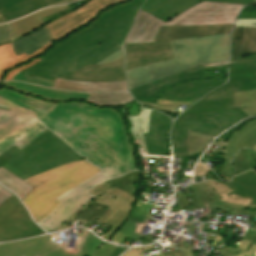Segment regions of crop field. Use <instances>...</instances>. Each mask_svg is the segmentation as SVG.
Listing matches in <instances>:
<instances>
[{
  "label": "crop field",
  "instance_id": "8a807250",
  "mask_svg": "<svg viewBox=\"0 0 256 256\" xmlns=\"http://www.w3.org/2000/svg\"><path fill=\"white\" fill-rule=\"evenodd\" d=\"M0 96L30 110L79 154L103 169L108 179L135 170L125 120L115 109L79 102L50 103L0 88Z\"/></svg>",
  "mask_w": 256,
  "mask_h": 256
},
{
  "label": "crop field",
  "instance_id": "ac0d7876",
  "mask_svg": "<svg viewBox=\"0 0 256 256\" xmlns=\"http://www.w3.org/2000/svg\"><path fill=\"white\" fill-rule=\"evenodd\" d=\"M145 0L131 2L104 12L99 19L42 57L44 61L21 72L53 80L70 78L84 66L94 65L122 48L135 14Z\"/></svg>",
  "mask_w": 256,
  "mask_h": 256
},
{
  "label": "crop field",
  "instance_id": "34b2d1b8",
  "mask_svg": "<svg viewBox=\"0 0 256 256\" xmlns=\"http://www.w3.org/2000/svg\"><path fill=\"white\" fill-rule=\"evenodd\" d=\"M174 59L127 70L129 89L164 78L182 70L203 65L224 66L229 61L230 33L196 39L171 41Z\"/></svg>",
  "mask_w": 256,
  "mask_h": 256
},
{
  "label": "crop field",
  "instance_id": "412701ff",
  "mask_svg": "<svg viewBox=\"0 0 256 256\" xmlns=\"http://www.w3.org/2000/svg\"><path fill=\"white\" fill-rule=\"evenodd\" d=\"M78 160L83 158L48 129L22 150L13 146L0 155V167L24 180Z\"/></svg>",
  "mask_w": 256,
  "mask_h": 256
},
{
  "label": "crop field",
  "instance_id": "f4fd0767",
  "mask_svg": "<svg viewBox=\"0 0 256 256\" xmlns=\"http://www.w3.org/2000/svg\"><path fill=\"white\" fill-rule=\"evenodd\" d=\"M99 171V168L83 160L32 176L24 181L35 188L23 201L37 223L49 215L59 204L54 200L55 198Z\"/></svg>",
  "mask_w": 256,
  "mask_h": 256
},
{
  "label": "crop field",
  "instance_id": "dd49c442",
  "mask_svg": "<svg viewBox=\"0 0 256 256\" xmlns=\"http://www.w3.org/2000/svg\"><path fill=\"white\" fill-rule=\"evenodd\" d=\"M243 7L244 5L203 1L184 11L167 23L142 10H139V13L125 42H152L154 41L156 32L161 26L233 23L238 11H240Z\"/></svg>",
  "mask_w": 256,
  "mask_h": 256
},
{
  "label": "crop field",
  "instance_id": "e52e79f7",
  "mask_svg": "<svg viewBox=\"0 0 256 256\" xmlns=\"http://www.w3.org/2000/svg\"><path fill=\"white\" fill-rule=\"evenodd\" d=\"M51 235L0 245V256H110L116 247L83 230L75 251H65L66 245L50 243Z\"/></svg>",
  "mask_w": 256,
  "mask_h": 256
},
{
  "label": "crop field",
  "instance_id": "d8731c3e",
  "mask_svg": "<svg viewBox=\"0 0 256 256\" xmlns=\"http://www.w3.org/2000/svg\"><path fill=\"white\" fill-rule=\"evenodd\" d=\"M246 117L230 110H187L175 121L172 129L174 157H187L188 129L216 136Z\"/></svg>",
  "mask_w": 256,
  "mask_h": 256
},
{
  "label": "crop field",
  "instance_id": "5a996713",
  "mask_svg": "<svg viewBox=\"0 0 256 256\" xmlns=\"http://www.w3.org/2000/svg\"><path fill=\"white\" fill-rule=\"evenodd\" d=\"M0 154L15 145L25 147L48 128L28 111L0 97Z\"/></svg>",
  "mask_w": 256,
  "mask_h": 256
},
{
  "label": "crop field",
  "instance_id": "3316defc",
  "mask_svg": "<svg viewBox=\"0 0 256 256\" xmlns=\"http://www.w3.org/2000/svg\"><path fill=\"white\" fill-rule=\"evenodd\" d=\"M256 60L230 64V80L189 109H234L233 92L256 88Z\"/></svg>",
  "mask_w": 256,
  "mask_h": 256
},
{
  "label": "crop field",
  "instance_id": "28ad6ade",
  "mask_svg": "<svg viewBox=\"0 0 256 256\" xmlns=\"http://www.w3.org/2000/svg\"><path fill=\"white\" fill-rule=\"evenodd\" d=\"M107 181L101 172L84 181L72 190L63 194L56 200L61 203L44 220L37 223L48 232L53 231L63 225L77 210L95 198L89 191ZM44 229V230H45Z\"/></svg>",
  "mask_w": 256,
  "mask_h": 256
},
{
  "label": "crop field",
  "instance_id": "d1516ede",
  "mask_svg": "<svg viewBox=\"0 0 256 256\" xmlns=\"http://www.w3.org/2000/svg\"><path fill=\"white\" fill-rule=\"evenodd\" d=\"M122 1L125 0H91L89 3L46 24V26L53 40H56L73 29L88 23L102 9Z\"/></svg>",
  "mask_w": 256,
  "mask_h": 256
},
{
  "label": "crop field",
  "instance_id": "22f410ed",
  "mask_svg": "<svg viewBox=\"0 0 256 256\" xmlns=\"http://www.w3.org/2000/svg\"><path fill=\"white\" fill-rule=\"evenodd\" d=\"M126 51V70L173 58L170 41L123 44Z\"/></svg>",
  "mask_w": 256,
  "mask_h": 256
},
{
  "label": "crop field",
  "instance_id": "cbeb9de0",
  "mask_svg": "<svg viewBox=\"0 0 256 256\" xmlns=\"http://www.w3.org/2000/svg\"><path fill=\"white\" fill-rule=\"evenodd\" d=\"M226 79L195 80L181 83L162 94L155 103L165 104H190L201 98L208 91L224 84Z\"/></svg>",
  "mask_w": 256,
  "mask_h": 256
},
{
  "label": "crop field",
  "instance_id": "5142ce71",
  "mask_svg": "<svg viewBox=\"0 0 256 256\" xmlns=\"http://www.w3.org/2000/svg\"><path fill=\"white\" fill-rule=\"evenodd\" d=\"M206 79L203 66H198L194 69L179 72L164 79L150 83L148 85L132 89L130 92L136 99L155 102V100L167 89L181 82Z\"/></svg>",
  "mask_w": 256,
  "mask_h": 256
},
{
  "label": "crop field",
  "instance_id": "d9b57169",
  "mask_svg": "<svg viewBox=\"0 0 256 256\" xmlns=\"http://www.w3.org/2000/svg\"><path fill=\"white\" fill-rule=\"evenodd\" d=\"M94 202L108 205L115 209L127 212V214L130 216L128 217L126 222L120 227L119 231L131 236L130 238L132 239L142 240V245L150 244L153 238V237H150L151 235L150 233L148 234V236H146V235L136 234L134 233V231L137 226L144 227L146 220H151V219L144 216H139V215L135 216L139 208H136V207L132 208L130 201L105 193L101 195L99 198H97Z\"/></svg>",
  "mask_w": 256,
  "mask_h": 256
},
{
  "label": "crop field",
  "instance_id": "733c2abd",
  "mask_svg": "<svg viewBox=\"0 0 256 256\" xmlns=\"http://www.w3.org/2000/svg\"><path fill=\"white\" fill-rule=\"evenodd\" d=\"M170 118L152 111L150 116V134H144L149 157L170 158L167 134Z\"/></svg>",
  "mask_w": 256,
  "mask_h": 256
},
{
  "label": "crop field",
  "instance_id": "4a817a6b",
  "mask_svg": "<svg viewBox=\"0 0 256 256\" xmlns=\"http://www.w3.org/2000/svg\"><path fill=\"white\" fill-rule=\"evenodd\" d=\"M30 218L22 203L18 209L0 224V242L44 234Z\"/></svg>",
  "mask_w": 256,
  "mask_h": 256
},
{
  "label": "crop field",
  "instance_id": "bc2a9ffb",
  "mask_svg": "<svg viewBox=\"0 0 256 256\" xmlns=\"http://www.w3.org/2000/svg\"><path fill=\"white\" fill-rule=\"evenodd\" d=\"M203 0H146L141 9L155 15L156 17L169 21L189 7ZM224 3H236L247 5L256 0H208Z\"/></svg>",
  "mask_w": 256,
  "mask_h": 256
},
{
  "label": "crop field",
  "instance_id": "214f88e0",
  "mask_svg": "<svg viewBox=\"0 0 256 256\" xmlns=\"http://www.w3.org/2000/svg\"><path fill=\"white\" fill-rule=\"evenodd\" d=\"M197 202L200 207L188 208V209H174L171 211L179 212L180 210L191 211L194 209H208L207 213L202 212L200 217H212L213 209H256V205H249L248 207L242 205H231L220 201L221 197L213 190L209 182H201L197 184H191L190 186Z\"/></svg>",
  "mask_w": 256,
  "mask_h": 256
},
{
  "label": "crop field",
  "instance_id": "92a150f3",
  "mask_svg": "<svg viewBox=\"0 0 256 256\" xmlns=\"http://www.w3.org/2000/svg\"><path fill=\"white\" fill-rule=\"evenodd\" d=\"M71 78L100 82L126 81L124 73V57L109 64L84 67Z\"/></svg>",
  "mask_w": 256,
  "mask_h": 256
},
{
  "label": "crop field",
  "instance_id": "dafd665d",
  "mask_svg": "<svg viewBox=\"0 0 256 256\" xmlns=\"http://www.w3.org/2000/svg\"><path fill=\"white\" fill-rule=\"evenodd\" d=\"M232 24L213 26H184V27H161L155 41L174 40L197 36L205 37L231 31Z\"/></svg>",
  "mask_w": 256,
  "mask_h": 256
},
{
  "label": "crop field",
  "instance_id": "00972430",
  "mask_svg": "<svg viewBox=\"0 0 256 256\" xmlns=\"http://www.w3.org/2000/svg\"><path fill=\"white\" fill-rule=\"evenodd\" d=\"M254 129H256V121H251L245 124L244 128L241 129V132H234L228 142L225 141V137L229 132L216 140V142L220 143L217 149L213 151V158H225V162H223L222 165V171L229 180L235 175L230 160L236 152L237 145L246 133Z\"/></svg>",
  "mask_w": 256,
  "mask_h": 256
},
{
  "label": "crop field",
  "instance_id": "a9b5d70f",
  "mask_svg": "<svg viewBox=\"0 0 256 256\" xmlns=\"http://www.w3.org/2000/svg\"><path fill=\"white\" fill-rule=\"evenodd\" d=\"M2 85L51 101L84 100L87 102L90 95L83 92L58 91L22 82H2Z\"/></svg>",
  "mask_w": 256,
  "mask_h": 256
},
{
  "label": "crop field",
  "instance_id": "4177f3b9",
  "mask_svg": "<svg viewBox=\"0 0 256 256\" xmlns=\"http://www.w3.org/2000/svg\"><path fill=\"white\" fill-rule=\"evenodd\" d=\"M54 88L89 92L127 91L126 82L99 83L62 78L56 79Z\"/></svg>",
  "mask_w": 256,
  "mask_h": 256
},
{
  "label": "crop field",
  "instance_id": "730fd06b",
  "mask_svg": "<svg viewBox=\"0 0 256 256\" xmlns=\"http://www.w3.org/2000/svg\"><path fill=\"white\" fill-rule=\"evenodd\" d=\"M70 8L68 5L46 9L20 20H17L13 23H9V26L12 29L13 41L20 38L21 36L35 30L36 28L44 25V21L42 18H46L48 16L54 15L60 11H64Z\"/></svg>",
  "mask_w": 256,
  "mask_h": 256
},
{
  "label": "crop field",
  "instance_id": "eef30255",
  "mask_svg": "<svg viewBox=\"0 0 256 256\" xmlns=\"http://www.w3.org/2000/svg\"><path fill=\"white\" fill-rule=\"evenodd\" d=\"M95 199L77 211L63 226L55 231L67 229L70 227V223L79 220L86 222L84 225L86 228H88L95 220L104 223L114 213L115 209L92 203Z\"/></svg>",
  "mask_w": 256,
  "mask_h": 256
},
{
  "label": "crop field",
  "instance_id": "ae1a2a85",
  "mask_svg": "<svg viewBox=\"0 0 256 256\" xmlns=\"http://www.w3.org/2000/svg\"><path fill=\"white\" fill-rule=\"evenodd\" d=\"M232 42L233 54L231 62L236 57L256 53V27H234Z\"/></svg>",
  "mask_w": 256,
  "mask_h": 256
},
{
  "label": "crop field",
  "instance_id": "d3111659",
  "mask_svg": "<svg viewBox=\"0 0 256 256\" xmlns=\"http://www.w3.org/2000/svg\"><path fill=\"white\" fill-rule=\"evenodd\" d=\"M57 1L59 0H0V9L9 21Z\"/></svg>",
  "mask_w": 256,
  "mask_h": 256
},
{
  "label": "crop field",
  "instance_id": "750c4746",
  "mask_svg": "<svg viewBox=\"0 0 256 256\" xmlns=\"http://www.w3.org/2000/svg\"><path fill=\"white\" fill-rule=\"evenodd\" d=\"M53 41L46 26H43L14 42V49L17 55L27 54L28 56Z\"/></svg>",
  "mask_w": 256,
  "mask_h": 256
},
{
  "label": "crop field",
  "instance_id": "bd1437ed",
  "mask_svg": "<svg viewBox=\"0 0 256 256\" xmlns=\"http://www.w3.org/2000/svg\"><path fill=\"white\" fill-rule=\"evenodd\" d=\"M53 42L49 43L45 47L41 48L37 52L33 53L31 56H26L25 54L17 56L12 50V42L4 45H0V80L2 79L5 70H10L18 65H21L31 58H34L46 51V49L52 46ZM48 50V49H47Z\"/></svg>",
  "mask_w": 256,
  "mask_h": 256
},
{
  "label": "crop field",
  "instance_id": "1d83c4d3",
  "mask_svg": "<svg viewBox=\"0 0 256 256\" xmlns=\"http://www.w3.org/2000/svg\"><path fill=\"white\" fill-rule=\"evenodd\" d=\"M227 186L235 191L232 194L253 199L250 204H256V173L254 171L234 177Z\"/></svg>",
  "mask_w": 256,
  "mask_h": 256
},
{
  "label": "crop field",
  "instance_id": "120bbe31",
  "mask_svg": "<svg viewBox=\"0 0 256 256\" xmlns=\"http://www.w3.org/2000/svg\"><path fill=\"white\" fill-rule=\"evenodd\" d=\"M0 182L17 193L23 200L34 188L4 168H0Z\"/></svg>",
  "mask_w": 256,
  "mask_h": 256
},
{
  "label": "crop field",
  "instance_id": "d32e631a",
  "mask_svg": "<svg viewBox=\"0 0 256 256\" xmlns=\"http://www.w3.org/2000/svg\"><path fill=\"white\" fill-rule=\"evenodd\" d=\"M132 100L129 93L91 94L88 102L102 106H117L126 104Z\"/></svg>",
  "mask_w": 256,
  "mask_h": 256
},
{
  "label": "crop field",
  "instance_id": "5866460e",
  "mask_svg": "<svg viewBox=\"0 0 256 256\" xmlns=\"http://www.w3.org/2000/svg\"><path fill=\"white\" fill-rule=\"evenodd\" d=\"M213 138H214L213 136H208V135H204V134L189 130L187 135L188 157H194L195 154L202 153L203 150L206 148L207 144Z\"/></svg>",
  "mask_w": 256,
  "mask_h": 256
},
{
  "label": "crop field",
  "instance_id": "028f5c9d",
  "mask_svg": "<svg viewBox=\"0 0 256 256\" xmlns=\"http://www.w3.org/2000/svg\"><path fill=\"white\" fill-rule=\"evenodd\" d=\"M211 186L215 189V191L223 198L222 201L232 203V204H242L248 205L250 203V199L241 198L235 195L230 194L233 192L229 189L226 184H220L215 181H209Z\"/></svg>",
  "mask_w": 256,
  "mask_h": 256
},
{
  "label": "crop field",
  "instance_id": "e1f06a70",
  "mask_svg": "<svg viewBox=\"0 0 256 256\" xmlns=\"http://www.w3.org/2000/svg\"><path fill=\"white\" fill-rule=\"evenodd\" d=\"M127 217L128 216L125 215V212L116 210L115 213L104 223L113 228L106 234H104L102 238L109 240L112 237V235L118 230V228L124 223Z\"/></svg>",
  "mask_w": 256,
  "mask_h": 256
},
{
  "label": "crop field",
  "instance_id": "0bd39190",
  "mask_svg": "<svg viewBox=\"0 0 256 256\" xmlns=\"http://www.w3.org/2000/svg\"><path fill=\"white\" fill-rule=\"evenodd\" d=\"M235 107L243 108L256 104V90L234 93Z\"/></svg>",
  "mask_w": 256,
  "mask_h": 256
},
{
  "label": "crop field",
  "instance_id": "b80d0937",
  "mask_svg": "<svg viewBox=\"0 0 256 256\" xmlns=\"http://www.w3.org/2000/svg\"><path fill=\"white\" fill-rule=\"evenodd\" d=\"M20 201L14 195L0 207V223L8 218L20 205Z\"/></svg>",
  "mask_w": 256,
  "mask_h": 256
},
{
  "label": "crop field",
  "instance_id": "c035e120",
  "mask_svg": "<svg viewBox=\"0 0 256 256\" xmlns=\"http://www.w3.org/2000/svg\"><path fill=\"white\" fill-rule=\"evenodd\" d=\"M106 182V181H105ZM92 194L96 195L97 197H99L103 192H106V193H110V194H113V195H116V196H120V197H123L125 199H128L130 201H133L134 202V199L132 196L116 189V188H112L110 189L109 186L107 185V183H104L102 184L101 186L95 188L94 190L90 191Z\"/></svg>",
  "mask_w": 256,
  "mask_h": 256
},
{
  "label": "crop field",
  "instance_id": "c21b1889",
  "mask_svg": "<svg viewBox=\"0 0 256 256\" xmlns=\"http://www.w3.org/2000/svg\"><path fill=\"white\" fill-rule=\"evenodd\" d=\"M12 80H22L25 82H29V83H33V84H37V85H41V86H45V87H50L52 88V85L54 82L52 81H48V80H44V79H40V78H36L30 75H26L23 73H17Z\"/></svg>",
  "mask_w": 256,
  "mask_h": 256
},
{
  "label": "crop field",
  "instance_id": "03da06ac",
  "mask_svg": "<svg viewBox=\"0 0 256 256\" xmlns=\"http://www.w3.org/2000/svg\"><path fill=\"white\" fill-rule=\"evenodd\" d=\"M232 164L238 171V174L252 169L244 158L243 150H241L240 153L232 160Z\"/></svg>",
  "mask_w": 256,
  "mask_h": 256
},
{
  "label": "crop field",
  "instance_id": "b54c1fbb",
  "mask_svg": "<svg viewBox=\"0 0 256 256\" xmlns=\"http://www.w3.org/2000/svg\"><path fill=\"white\" fill-rule=\"evenodd\" d=\"M256 144V130L245 135L239 143L237 152L242 148H252Z\"/></svg>",
  "mask_w": 256,
  "mask_h": 256
},
{
  "label": "crop field",
  "instance_id": "5d738f31",
  "mask_svg": "<svg viewBox=\"0 0 256 256\" xmlns=\"http://www.w3.org/2000/svg\"><path fill=\"white\" fill-rule=\"evenodd\" d=\"M11 41L12 38L9 26L7 24L0 25V44H4Z\"/></svg>",
  "mask_w": 256,
  "mask_h": 256
},
{
  "label": "crop field",
  "instance_id": "d23c7cc5",
  "mask_svg": "<svg viewBox=\"0 0 256 256\" xmlns=\"http://www.w3.org/2000/svg\"><path fill=\"white\" fill-rule=\"evenodd\" d=\"M144 104H146L147 106L149 107H153L157 110H161V111H170V112H174V113H178L177 111H175L180 105H166V106H162V105H159V104H153V103H149V102H145V101H141V100H138Z\"/></svg>",
  "mask_w": 256,
  "mask_h": 256
},
{
  "label": "crop field",
  "instance_id": "425ffa30",
  "mask_svg": "<svg viewBox=\"0 0 256 256\" xmlns=\"http://www.w3.org/2000/svg\"><path fill=\"white\" fill-rule=\"evenodd\" d=\"M40 61H42L41 58H35V59H34L33 61H31L29 64H27V65H22V66H20V67L14 69V70L8 72V73L5 75V77H4L3 80H11V78L14 76V74H15L16 72L21 71V70H23V69H25V68H27V67H29V66H31V65H34V64H36V63H38V62H40Z\"/></svg>",
  "mask_w": 256,
  "mask_h": 256
},
{
  "label": "crop field",
  "instance_id": "25e5ab78",
  "mask_svg": "<svg viewBox=\"0 0 256 256\" xmlns=\"http://www.w3.org/2000/svg\"><path fill=\"white\" fill-rule=\"evenodd\" d=\"M154 246H148V247H142V248H133L129 251H127L126 253H124L122 256H143L140 253L149 250V249H153Z\"/></svg>",
  "mask_w": 256,
  "mask_h": 256
},
{
  "label": "crop field",
  "instance_id": "73cf0c24",
  "mask_svg": "<svg viewBox=\"0 0 256 256\" xmlns=\"http://www.w3.org/2000/svg\"><path fill=\"white\" fill-rule=\"evenodd\" d=\"M122 56H124V53H123L122 49H120L97 64L109 63L111 61L119 59Z\"/></svg>",
  "mask_w": 256,
  "mask_h": 256
},
{
  "label": "crop field",
  "instance_id": "89e229c0",
  "mask_svg": "<svg viewBox=\"0 0 256 256\" xmlns=\"http://www.w3.org/2000/svg\"><path fill=\"white\" fill-rule=\"evenodd\" d=\"M234 26H256V19H237Z\"/></svg>",
  "mask_w": 256,
  "mask_h": 256
},
{
  "label": "crop field",
  "instance_id": "1f2cbd36",
  "mask_svg": "<svg viewBox=\"0 0 256 256\" xmlns=\"http://www.w3.org/2000/svg\"><path fill=\"white\" fill-rule=\"evenodd\" d=\"M12 195L13 194H11L7 189L0 186V205L8 200Z\"/></svg>",
  "mask_w": 256,
  "mask_h": 256
},
{
  "label": "crop field",
  "instance_id": "dbb93151",
  "mask_svg": "<svg viewBox=\"0 0 256 256\" xmlns=\"http://www.w3.org/2000/svg\"><path fill=\"white\" fill-rule=\"evenodd\" d=\"M219 252H221L224 256H232L242 250L238 249V248H231V247H225L221 250H218Z\"/></svg>",
  "mask_w": 256,
  "mask_h": 256
},
{
  "label": "crop field",
  "instance_id": "0fb4a251",
  "mask_svg": "<svg viewBox=\"0 0 256 256\" xmlns=\"http://www.w3.org/2000/svg\"><path fill=\"white\" fill-rule=\"evenodd\" d=\"M231 215H256V210H235L232 209Z\"/></svg>",
  "mask_w": 256,
  "mask_h": 256
},
{
  "label": "crop field",
  "instance_id": "1d79db26",
  "mask_svg": "<svg viewBox=\"0 0 256 256\" xmlns=\"http://www.w3.org/2000/svg\"><path fill=\"white\" fill-rule=\"evenodd\" d=\"M245 112L247 117L256 116V105L250 106L244 109H240Z\"/></svg>",
  "mask_w": 256,
  "mask_h": 256
},
{
  "label": "crop field",
  "instance_id": "9d1cf04e",
  "mask_svg": "<svg viewBox=\"0 0 256 256\" xmlns=\"http://www.w3.org/2000/svg\"><path fill=\"white\" fill-rule=\"evenodd\" d=\"M179 253L181 256H194L192 250L189 247L186 249L182 245L179 247Z\"/></svg>",
  "mask_w": 256,
  "mask_h": 256
},
{
  "label": "crop field",
  "instance_id": "447ae74e",
  "mask_svg": "<svg viewBox=\"0 0 256 256\" xmlns=\"http://www.w3.org/2000/svg\"><path fill=\"white\" fill-rule=\"evenodd\" d=\"M129 248H120L117 247V249L114 251V253L111 256H119L122 252L126 251Z\"/></svg>",
  "mask_w": 256,
  "mask_h": 256
},
{
  "label": "crop field",
  "instance_id": "0765c3eb",
  "mask_svg": "<svg viewBox=\"0 0 256 256\" xmlns=\"http://www.w3.org/2000/svg\"><path fill=\"white\" fill-rule=\"evenodd\" d=\"M251 59H256V54L251 56H246V57H239L236 59V61H245V60H251Z\"/></svg>",
  "mask_w": 256,
  "mask_h": 256
},
{
  "label": "crop field",
  "instance_id": "db79e9e6",
  "mask_svg": "<svg viewBox=\"0 0 256 256\" xmlns=\"http://www.w3.org/2000/svg\"><path fill=\"white\" fill-rule=\"evenodd\" d=\"M71 1H75V0H62V1L57 2V3H54V4H52V5L64 4V3L71 2ZM52 5H50V6H52Z\"/></svg>",
  "mask_w": 256,
  "mask_h": 256
},
{
  "label": "crop field",
  "instance_id": "7b73153f",
  "mask_svg": "<svg viewBox=\"0 0 256 256\" xmlns=\"http://www.w3.org/2000/svg\"><path fill=\"white\" fill-rule=\"evenodd\" d=\"M7 20L5 19V17H4V15H3V13H2V11L0 10V23H4V22H6Z\"/></svg>",
  "mask_w": 256,
  "mask_h": 256
},
{
  "label": "crop field",
  "instance_id": "78b8030e",
  "mask_svg": "<svg viewBox=\"0 0 256 256\" xmlns=\"http://www.w3.org/2000/svg\"><path fill=\"white\" fill-rule=\"evenodd\" d=\"M158 256H164V255H162V254L160 253ZM170 256H180V255H179V253H177V254L170 255Z\"/></svg>",
  "mask_w": 256,
  "mask_h": 256
},
{
  "label": "crop field",
  "instance_id": "0f1d7ab4",
  "mask_svg": "<svg viewBox=\"0 0 256 256\" xmlns=\"http://www.w3.org/2000/svg\"><path fill=\"white\" fill-rule=\"evenodd\" d=\"M252 149L256 150V145Z\"/></svg>",
  "mask_w": 256,
  "mask_h": 256
},
{
  "label": "crop field",
  "instance_id": "e1d0b9f6",
  "mask_svg": "<svg viewBox=\"0 0 256 256\" xmlns=\"http://www.w3.org/2000/svg\"><path fill=\"white\" fill-rule=\"evenodd\" d=\"M255 256H256V252H255V254H254Z\"/></svg>",
  "mask_w": 256,
  "mask_h": 256
},
{
  "label": "crop field",
  "instance_id": "ae633e8c",
  "mask_svg": "<svg viewBox=\"0 0 256 256\" xmlns=\"http://www.w3.org/2000/svg\"><path fill=\"white\" fill-rule=\"evenodd\" d=\"M1 109H4V108H1ZM8 110V109H7Z\"/></svg>",
  "mask_w": 256,
  "mask_h": 256
}]
</instances>
